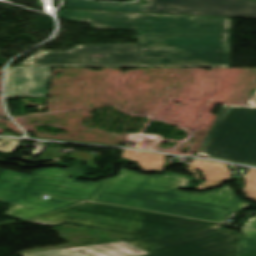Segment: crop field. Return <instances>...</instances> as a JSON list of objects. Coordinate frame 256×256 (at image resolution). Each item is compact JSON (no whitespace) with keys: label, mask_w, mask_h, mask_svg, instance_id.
Here are the masks:
<instances>
[{"label":"crop field","mask_w":256,"mask_h":256,"mask_svg":"<svg viewBox=\"0 0 256 256\" xmlns=\"http://www.w3.org/2000/svg\"><path fill=\"white\" fill-rule=\"evenodd\" d=\"M67 20L91 28L137 29L138 44L40 50L17 66L230 67L231 19L65 10Z\"/></svg>","instance_id":"crop-field-1"},{"label":"crop field","mask_w":256,"mask_h":256,"mask_svg":"<svg viewBox=\"0 0 256 256\" xmlns=\"http://www.w3.org/2000/svg\"><path fill=\"white\" fill-rule=\"evenodd\" d=\"M27 222H70L151 237L126 241L151 253L143 256H236L239 236L220 228L221 224L97 203L80 204Z\"/></svg>","instance_id":"crop-field-2"},{"label":"crop field","mask_w":256,"mask_h":256,"mask_svg":"<svg viewBox=\"0 0 256 256\" xmlns=\"http://www.w3.org/2000/svg\"><path fill=\"white\" fill-rule=\"evenodd\" d=\"M174 187L192 188V178L174 172L148 177L122 168L92 200L219 222L252 205L227 185L205 193H185Z\"/></svg>","instance_id":"crop-field-3"},{"label":"crop field","mask_w":256,"mask_h":256,"mask_svg":"<svg viewBox=\"0 0 256 256\" xmlns=\"http://www.w3.org/2000/svg\"><path fill=\"white\" fill-rule=\"evenodd\" d=\"M109 179L99 183H81L65 176L62 169L47 168L31 175L3 171L0 176V202L10 204L5 213L24 220L84 201L50 198L44 195L90 200Z\"/></svg>","instance_id":"crop-field-4"},{"label":"crop field","mask_w":256,"mask_h":256,"mask_svg":"<svg viewBox=\"0 0 256 256\" xmlns=\"http://www.w3.org/2000/svg\"><path fill=\"white\" fill-rule=\"evenodd\" d=\"M196 156L256 166V107L223 105Z\"/></svg>","instance_id":"crop-field-5"},{"label":"crop field","mask_w":256,"mask_h":256,"mask_svg":"<svg viewBox=\"0 0 256 256\" xmlns=\"http://www.w3.org/2000/svg\"><path fill=\"white\" fill-rule=\"evenodd\" d=\"M144 12L256 18L252 0H147Z\"/></svg>","instance_id":"crop-field-6"},{"label":"crop field","mask_w":256,"mask_h":256,"mask_svg":"<svg viewBox=\"0 0 256 256\" xmlns=\"http://www.w3.org/2000/svg\"><path fill=\"white\" fill-rule=\"evenodd\" d=\"M51 67H9L6 97L46 96Z\"/></svg>","instance_id":"crop-field-7"},{"label":"crop field","mask_w":256,"mask_h":256,"mask_svg":"<svg viewBox=\"0 0 256 256\" xmlns=\"http://www.w3.org/2000/svg\"><path fill=\"white\" fill-rule=\"evenodd\" d=\"M122 156L124 158L131 159L138 163V165L146 171H161L164 166V155L137 152L131 150H123Z\"/></svg>","instance_id":"crop-field-8"},{"label":"crop field","mask_w":256,"mask_h":256,"mask_svg":"<svg viewBox=\"0 0 256 256\" xmlns=\"http://www.w3.org/2000/svg\"><path fill=\"white\" fill-rule=\"evenodd\" d=\"M145 5L100 3L89 0H69L68 8L97 9V10H118L143 12Z\"/></svg>","instance_id":"crop-field-9"},{"label":"crop field","mask_w":256,"mask_h":256,"mask_svg":"<svg viewBox=\"0 0 256 256\" xmlns=\"http://www.w3.org/2000/svg\"><path fill=\"white\" fill-rule=\"evenodd\" d=\"M191 164H195L200 168L206 182L214 181L229 176V169L225 168L226 165L205 162L196 159H193Z\"/></svg>","instance_id":"crop-field-10"},{"label":"crop field","mask_w":256,"mask_h":256,"mask_svg":"<svg viewBox=\"0 0 256 256\" xmlns=\"http://www.w3.org/2000/svg\"><path fill=\"white\" fill-rule=\"evenodd\" d=\"M243 236L239 241V256H256V232L241 228Z\"/></svg>","instance_id":"crop-field-11"},{"label":"crop field","mask_w":256,"mask_h":256,"mask_svg":"<svg viewBox=\"0 0 256 256\" xmlns=\"http://www.w3.org/2000/svg\"><path fill=\"white\" fill-rule=\"evenodd\" d=\"M245 187L251 194L256 195V170H249L245 178Z\"/></svg>","instance_id":"crop-field-12"},{"label":"crop field","mask_w":256,"mask_h":256,"mask_svg":"<svg viewBox=\"0 0 256 256\" xmlns=\"http://www.w3.org/2000/svg\"><path fill=\"white\" fill-rule=\"evenodd\" d=\"M188 168H189V170H190L191 172L194 173L195 177H196L198 180H201L200 177H199V174H198V172H197V170H196V169H199L197 166H195V165H189ZM228 179H229V177H228V178H224V179H220V180H217V181H214V182H210V183H206V182H204V181L202 180L203 183L200 184L199 186H197V188H198V189H204V188L214 187V186H217V185H219L221 182H223V181H225V180H228Z\"/></svg>","instance_id":"crop-field-13"},{"label":"crop field","mask_w":256,"mask_h":256,"mask_svg":"<svg viewBox=\"0 0 256 256\" xmlns=\"http://www.w3.org/2000/svg\"><path fill=\"white\" fill-rule=\"evenodd\" d=\"M20 140L0 138V151L11 152L19 144Z\"/></svg>","instance_id":"crop-field-14"},{"label":"crop field","mask_w":256,"mask_h":256,"mask_svg":"<svg viewBox=\"0 0 256 256\" xmlns=\"http://www.w3.org/2000/svg\"><path fill=\"white\" fill-rule=\"evenodd\" d=\"M24 256H73V255L68 253L64 249H61V250L49 251V252L25 254Z\"/></svg>","instance_id":"crop-field-15"},{"label":"crop field","mask_w":256,"mask_h":256,"mask_svg":"<svg viewBox=\"0 0 256 256\" xmlns=\"http://www.w3.org/2000/svg\"><path fill=\"white\" fill-rule=\"evenodd\" d=\"M245 226L248 228L256 229V216L248 219V221L245 223Z\"/></svg>","instance_id":"crop-field-16"},{"label":"crop field","mask_w":256,"mask_h":256,"mask_svg":"<svg viewBox=\"0 0 256 256\" xmlns=\"http://www.w3.org/2000/svg\"><path fill=\"white\" fill-rule=\"evenodd\" d=\"M244 191H245L247 197H249V198H251L253 200H256V196L251 195L246 189H244Z\"/></svg>","instance_id":"crop-field-17"},{"label":"crop field","mask_w":256,"mask_h":256,"mask_svg":"<svg viewBox=\"0 0 256 256\" xmlns=\"http://www.w3.org/2000/svg\"><path fill=\"white\" fill-rule=\"evenodd\" d=\"M250 104L253 106H256V94L254 95V97L250 100Z\"/></svg>","instance_id":"crop-field-18"},{"label":"crop field","mask_w":256,"mask_h":256,"mask_svg":"<svg viewBox=\"0 0 256 256\" xmlns=\"http://www.w3.org/2000/svg\"><path fill=\"white\" fill-rule=\"evenodd\" d=\"M254 1H256V0H254Z\"/></svg>","instance_id":"crop-field-19"}]
</instances>
